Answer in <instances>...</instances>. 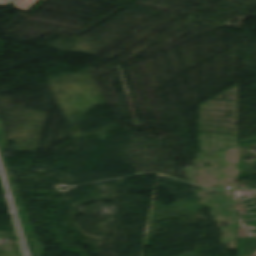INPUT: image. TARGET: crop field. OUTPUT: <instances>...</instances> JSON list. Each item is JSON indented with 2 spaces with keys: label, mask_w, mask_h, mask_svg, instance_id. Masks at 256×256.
Listing matches in <instances>:
<instances>
[{
  "label": "crop field",
  "mask_w": 256,
  "mask_h": 256,
  "mask_svg": "<svg viewBox=\"0 0 256 256\" xmlns=\"http://www.w3.org/2000/svg\"><path fill=\"white\" fill-rule=\"evenodd\" d=\"M37 0H0V6L6 7L13 2L16 9L27 11Z\"/></svg>",
  "instance_id": "crop-field-1"
}]
</instances>
